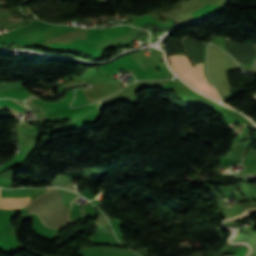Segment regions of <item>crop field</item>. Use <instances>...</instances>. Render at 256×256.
<instances>
[{
  "instance_id": "crop-field-1",
  "label": "crop field",
  "mask_w": 256,
  "mask_h": 256,
  "mask_svg": "<svg viewBox=\"0 0 256 256\" xmlns=\"http://www.w3.org/2000/svg\"><path fill=\"white\" fill-rule=\"evenodd\" d=\"M30 197L26 198H0V207L6 209H15L26 207Z\"/></svg>"
},
{
  "instance_id": "crop-field-2",
  "label": "crop field",
  "mask_w": 256,
  "mask_h": 256,
  "mask_svg": "<svg viewBox=\"0 0 256 256\" xmlns=\"http://www.w3.org/2000/svg\"><path fill=\"white\" fill-rule=\"evenodd\" d=\"M21 102V101H20ZM22 103V102H21ZM23 104V103H22ZM25 105V104H24Z\"/></svg>"
}]
</instances>
